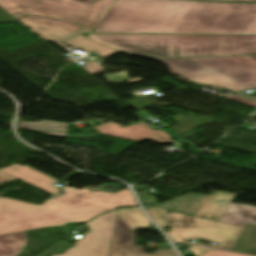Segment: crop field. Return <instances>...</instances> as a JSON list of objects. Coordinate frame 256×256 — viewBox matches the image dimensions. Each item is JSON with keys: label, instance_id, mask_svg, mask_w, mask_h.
<instances>
[{"label": "crop field", "instance_id": "1", "mask_svg": "<svg viewBox=\"0 0 256 256\" xmlns=\"http://www.w3.org/2000/svg\"><path fill=\"white\" fill-rule=\"evenodd\" d=\"M95 32L256 34V4L117 0Z\"/></svg>", "mask_w": 256, "mask_h": 256}, {"label": "crop field", "instance_id": "2", "mask_svg": "<svg viewBox=\"0 0 256 256\" xmlns=\"http://www.w3.org/2000/svg\"><path fill=\"white\" fill-rule=\"evenodd\" d=\"M122 206H137L129 189L106 193L66 186L63 196L49 199L41 206L0 197V234L69 221L85 223L95 215Z\"/></svg>", "mask_w": 256, "mask_h": 256}, {"label": "crop field", "instance_id": "3", "mask_svg": "<svg viewBox=\"0 0 256 256\" xmlns=\"http://www.w3.org/2000/svg\"><path fill=\"white\" fill-rule=\"evenodd\" d=\"M87 38L150 59L256 55V35L89 34Z\"/></svg>", "mask_w": 256, "mask_h": 256}, {"label": "crop field", "instance_id": "4", "mask_svg": "<svg viewBox=\"0 0 256 256\" xmlns=\"http://www.w3.org/2000/svg\"><path fill=\"white\" fill-rule=\"evenodd\" d=\"M180 76L230 90L256 87V56L162 59Z\"/></svg>", "mask_w": 256, "mask_h": 256}, {"label": "crop field", "instance_id": "5", "mask_svg": "<svg viewBox=\"0 0 256 256\" xmlns=\"http://www.w3.org/2000/svg\"><path fill=\"white\" fill-rule=\"evenodd\" d=\"M115 1L98 0L87 5L76 0H0V6L11 15L66 19L95 30Z\"/></svg>", "mask_w": 256, "mask_h": 256}, {"label": "crop field", "instance_id": "6", "mask_svg": "<svg viewBox=\"0 0 256 256\" xmlns=\"http://www.w3.org/2000/svg\"><path fill=\"white\" fill-rule=\"evenodd\" d=\"M116 215L117 211L106 213L86 223L89 232L63 255L56 256H107Z\"/></svg>", "mask_w": 256, "mask_h": 256}, {"label": "crop field", "instance_id": "7", "mask_svg": "<svg viewBox=\"0 0 256 256\" xmlns=\"http://www.w3.org/2000/svg\"><path fill=\"white\" fill-rule=\"evenodd\" d=\"M18 21L27 26L46 41L57 43L78 32L93 30L78 26L66 20L15 15Z\"/></svg>", "mask_w": 256, "mask_h": 256}, {"label": "crop field", "instance_id": "8", "mask_svg": "<svg viewBox=\"0 0 256 256\" xmlns=\"http://www.w3.org/2000/svg\"><path fill=\"white\" fill-rule=\"evenodd\" d=\"M147 212L160 228L171 226V231L166 232V234L172 241L187 243L189 240H196L197 230L201 219L173 212H170L167 215L165 209L158 207L149 209Z\"/></svg>", "mask_w": 256, "mask_h": 256}, {"label": "crop field", "instance_id": "9", "mask_svg": "<svg viewBox=\"0 0 256 256\" xmlns=\"http://www.w3.org/2000/svg\"><path fill=\"white\" fill-rule=\"evenodd\" d=\"M136 234L116 217L108 256H178L176 252L157 250L154 255L143 254L141 247L133 246Z\"/></svg>", "mask_w": 256, "mask_h": 256}, {"label": "crop field", "instance_id": "10", "mask_svg": "<svg viewBox=\"0 0 256 256\" xmlns=\"http://www.w3.org/2000/svg\"><path fill=\"white\" fill-rule=\"evenodd\" d=\"M142 120L138 123L130 122V126L121 128L116 124H104L95 130L97 132L108 134L124 139H129L132 141L141 142L142 140L151 139L155 142H160L164 144H169L175 141H170V136L165 133L162 129L154 131L143 124V122L148 121L144 116L136 113Z\"/></svg>", "mask_w": 256, "mask_h": 256}, {"label": "crop field", "instance_id": "11", "mask_svg": "<svg viewBox=\"0 0 256 256\" xmlns=\"http://www.w3.org/2000/svg\"><path fill=\"white\" fill-rule=\"evenodd\" d=\"M241 230V227L215 223L202 219L199 226L197 238L220 242V244L218 247L202 244L197 245L228 251L240 234Z\"/></svg>", "mask_w": 256, "mask_h": 256}, {"label": "crop field", "instance_id": "12", "mask_svg": "<svg viewBox=\"0 0 256 256\" xmlns=\"http://www.w3.org/2000/svg\"><path fill=\"white\" fill-rule=\"evenodd\" d=\"M10 175H13L20 180L34 185L50 194L59 195V189L53 185L57 180L27 166L14 164L8 168L0 169Z\"/></svg>", "mask_w": 256, "mask_h": 256}, {"label": "crop field", "instance_id": "13", "mask_svg": "<svg viewBox=\"0 0 256 256\" xmlns=\"http://www.w3.org/2000/svg\"><path fill=\"white\" fill-rule=\"evenodd\" d=\"M234 197V194L214 191L212 196H207L204 199L195 216L218 222ZM219 201H223L225 204H218Z\"/></svg>", "mask_w": 256, "mask_h": 256}, {"label": "crop field", "instance_id": "14", "mask_svg": "<svg viewBox=\"0 0 256 256\" xmlns=\"http://www.w3.org/2000/svg\"><path fill=\"white\" fill-rule=\"evenodd\" d=\"M219 222L241 227H244L246 223L256 225V207L230 204Z\"/></svg>", "mask_w": 256, "mask_h": 256}, {"label": "crop field", "instance_id": "15", "mask_svg": "<svg viewBox=\"0 0 256 256\" xmlns=\"http://www.w3.org/2000/svg\"><path fill=\"white\" fill-rule=\"evenodd\" d=\"M25 246V231L0 235V256H15L19 254L21 249Z\"/></svg>", "mask_w": 256, "mask_h": 256}, {"label": "crop field", "instance_id": "16", "mask_svg": "<svg viewBox=\"0 0 256 256\" xmlns=\"http://www.w3.org/2000/svg\"><path fill=\"white\" fill-rule=\"evenodd\" d=\"M63 43L75 45L87 52L93 51L101 56L108 55V54H111V53L117 51V50L108 48L106 46H103L99 43H96L94 41H91L87 38H84L80 35L74 36V37L64 41Z\"/></svg>", "mask_w": 256, "mask_h": 256}, {"label": "crop field", "instance_id": "17", "mask_svg": "<svg viewBox=\"0 0 256 256\" xmlns=\"http://www.w3.org/2000/svg\"><path fill=\"white\" fill-rule=\"evenodd\" d=\"M252 248H256V226L247 224L231 250L247 253Z\"/></svg>", "mask_w": 256, "mask_h": 256}, {"label": "crop field", "instance_id": "18", "mask_svg": "<svg viewBox=\"0 0 256 256\" xmlns=\"http://www.w3.org/2000/svg\"><path fill=\"white\" fill-rule=\"evenodd\" d=\"M118 216L123 219L132 230L148 227L149 219L140 209H124L118 211Z\"/></svg>", "mask_w": 256, "mask_h": 256}, {"label": "crop field", "instance_id": "19", "mask_svg": "<svg viewBox=\"0 0 256 256\" xmlns=\"http://www.w3.org/2000/svg\"><path fill=\"white\" fill-rule=\"evenodd\" d=\"M19 128L20 130L67 132L68 123H58V122H50V121L20 122Z\"/></svg>", "mask_w": 256, "mask_h": 256}, {"label": "crop field", "instance_id": "20", "mask_svg": "<svg viewBox=\"0 0 256 256\" xmlns=\"http://www.w3.org/2000/svg\"><path fill=\"white\" fill-rule=\"evenodd\" d=\"M128 74H129V72H127V71H120V72H117V73H114V74L107 75V76H105V78L109 82H112V83H120V82L125 81V80H127L129 83L142 81L141 77L137 78V79L133 78L134 80L129 79Z\"/></svg>", "mask_w": 256, "mask_h": 256}, {"label": "crop field", "instance_id": "21", "mask_svg": "<svg viewBox=\"0 0 256 256\" xmlns=\"http://www.w3.org/2000/svg\"><path fill=\"white\" fill-rule=\"evenodd\" d=\"M248 97H251V98H254V99H247ZM226 98L242 102V103L247 104L249 106L256 107V97H254V96H246V95H236V96H233V95H230V96H228Z\"/></svg>", "mask_w": 256, "mask_h": 256}, {"label": "crop field", "instance_id": "22", "mask_svg": "<svg viewBox=\"0 0 256 256\" xmlns=\"http://www.w3.org/2000/svg\"><path fill=\"white\" fill-rule=\"evenodd\" d=\"M83 68L86 69L92 75L98 74L106 70L103 67L99 66L96 62H87V65Z\"/></svg>", "mask_w": 256, "mask_h": 256}, {"label": "crop field", "instance_id": "23", "mask_svg": "<svg viewBox=\"0 0 256 256\" xmlns=\"http://www.w3.org/2000/svg\"><path fill=\"white\" fill-rule=\"evenodd\" d=\"M189 249L195 256H202L212 251V249H206V248H200V247H194V246H190Z\"/></svg>", "mask_w": 256, "mask_h": 256}, {"label": "crop field", "instance_id": "24", "mask_svg": "<svg viewBox=\"0 0 256 256\" xmlns=\"http://www.w3.org/2000/svg\"><path fill=\"white\" fill-rule=\"evenodd\" d=\"M14 180L18 179L0 171V185Z\"/></svg>", "mask_w": 256, "mask_h": 256}, {"label": "crop field", "instance_id": "25", "mask_svg": "<svg viewBox=\"0 0 256 256\" xmlns=\"http://www.w3.org/2000/svg\"><path fill=\"white\" fill-rule=\"evenodd\" d=\"M204 256H242V255L230 254V253H227L225 251L214 250V251H212L209 254L204 255Z\"/></svg>", "mask_w": 256, "mask_h": 256}, {"label": "crop field", "instance_id": "26", "mask_svg": "<svg viewBox=\"0 0 256 256\" xmlns=\"http://www.w3.org/2000/svg\"><path fill=\"white\" fill-rule=\"evenodd\" d=\"M33 132H39V131H33ZM39 133H44L49 136L59 137V138H64L67 135V133H58V132H39Z\"/></svg>", "mask_w": 256, "mask_h": 256}, {"label": "crop field", "instance_id": "27", "mask_svg": "<svg viewBox=\"0 0 256 256\" xmlns=\"http://www.w3.org/2000/svg\"><path fill=\"white\" fill-rule=\"evenodd\" d=\"M212 1H229V2H256V0H212Z\"/></svg>", "mask_w": 256, "mask_h": 256}, {"label": "crop field", "instance_id": "28", "mask_svg": "<svg viewBox=\"0 0 256 256\" xmlns=\"http://www.w3.org/2000/svg\"><path fill=\"white\" fill-rule=\"evenodd\" d=\"M79 1L89 4V3H92L96 0H79Z\"/></svg>", "mask_w": 256, "mask_h": 256}]
</instances>
